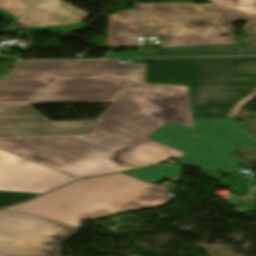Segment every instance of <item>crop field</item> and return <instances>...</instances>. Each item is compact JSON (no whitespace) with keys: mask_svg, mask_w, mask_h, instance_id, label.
I'll return each mask as SVG.
<instances>
[{"mask_svg":"<svg viewBox=\"0 0 256 256\" xmlns=\"http://www.w3.org/2000/svg\"><path fill=\"white\" fill-rule=\"evenodd\" d=\"M231 181L232 179H228V178H221V180L218 182L217 185H221V186H227L230 188L231 192H234L231 186Z\"/></svg>","mask_w":256,"mask_h":256,"instance_id":"214f88e0","label":"crop field"},{"mask_svg":"<svg viewBox=\"0 0 256 256\" xmlns=\"http://www.w3.org/2000/svg\"><path fill=\"white\" fill-rule=\"evenodd\" d=\"M30 5L26 0H0V15L13 21Z\"/></svg>","mask_w":256,"mask_h":256,"instance_id":"d1516ede","label":"crop field"},{"mask_svg":"<svg viewBox=\"0 0 256 256\" xmlns=\"http://www.w3.org/2000/svg\"><path fill=\"white\" fill-rule=\"evenodd\" d=\"M38 194L0 191V207L24 201Z\"/></svg>","mask_w":256,"mask_h":256,"instance_id":"cbeb9de0","label":"crop field"},{"mask_svg":"<svg viewBox=\"0 0 256 256\" xmlns=\"http://www.w3.org/2000/svg\"><path fill=\"white\" fill-rule=\"evenodd\" d=\"M182 166L163 164L159 166L124 172L149 183H158L161 178L169 177L172 182L179 181Z\"/></svg>","mask_w":256,"mask_h":256,"instance_id":"28ad6ade","label":"crop field"},{"mask_svg":"<svg viewBox=\"0 0 256 256\" xmlns=\"http://www.w3.org/2000/svg\"><path fill=\"white\" fill-rule=\"evenodd\" d=\"M167 188L146 184L119 173L84 179L39 198L6 208L53 219L79 228L81 220L157 207L172 198Z\"/></svg>","mask_w":256,"mask_h":256,"instance_id":"412701ff","label":"crop field"},{"mask_svg":"<svg viewBox=\"0 0 256 256\" xmlns=\"http://www.w3.org/2000/svg\"><path fill=\"white\" fill-rule=\"evenodd\" d=\"M240 209L241 212L256 211V205L255 203H243L240 201Z\"/></svg>","mask_w":256,"mask_h":256,"instance_id":"bc2a9ffb","label":"crop field"},{"mask_svg":"<svg viewBox=\"0 0 256 256\" xmlns=\"http://www.w3.org/2000/svg\"><path fill=\"white\" fill-rule=\"evenodd\" d=\"M247 185L245 181L234 180V187L237 194H246L247 193Z\"/></svg>","mask_w":256,"mask_h":256,"instance_id":"733c2abd","label":"crop field"},{"mask_svg":"<svg viewBox=\"0 0 256 256\" xmlns=\"http://www.w3.org/2000/svg\"><path fill=\"white\" fill-rule=\"evenodd\" d=\"M256 17V0H204Z\"/></svg>","mask_w":256,"mask_h":256,"instance_id":"22f410ed","label":"crop field"},{"mask_svg":"<svg viewBox=\"0 0 256 256\" xmlns=\"http://www.w3.org/2000/svg\"><path fill=\"white\" fill-rule=\"evenodd\" d=\"M131 82L187 85L193 118H233L256 97V57L18 62L0 104L113 102Z\"/></svg>","mask_w":256,"mask_h":256,"instance_id":"8a807250","label":"crop field"},{"mask_svg":"<svg viewBox=\"0 0 256 256\" xmlns=\"http://www.w3.org/2000/svg\"><path fill=\"white\" fill-rule=\"evenodd\" d=\"M224 200H225V202L228 203L227 206H236V205H238V202H237V201H233V200H230V199H224ZM236 211H237V212H240L239 207L236 208Z\"/></svg>","mask_w":256,"mask_h":256,"instance_id":"92a150f3","label":"crop field"},{"mask_svg":"<svg viewBox=\"0 0 256 256\" xmlns=\"http://www.w3.org/2000/svg\"><path fill=\"white\" fill-rule=\"evenodd\" d=\"M170 122L194 129L187 86L132 83L83 135L0 137V148L86 177L180 159L146 138Z\"/></svg>","mask_w":256,"mask_h":256,"instance_id":"ac0d7876","label":"crop field"},{"mask_svg":"<svg viewBox=\"0 0 256 256\" xmlns=\"http://www.w3.org/2000/svg\"><path fill=\"white\" fill-rule=\"evenodd\" d=\"M88 25L79 23V24H71V25H59V26H48V27H38L34 28L38 32L43 31H60L62 35L72 33L74 31H77L79 29L85 28Z\"/></svg>","mask_w":256,"mask_h":256,"instance_id":"5142ce71","label":"crop field"},{"mask_svg":"<svg viewBox=\"0 0 256 256\" xmlns=\"http://www.w3.org/2000/svg\"><path fill=\"white\" fill-rule=\"evenodd\" d=\"M237 21H247L245 33H256L255 17L216 4H135L109 19L107 45L137 43L139 36H160L161 47L234 43Z\"/></svg>","mask_w":256,"mask_h":256,"instance_id":"34b2d1b8","label":"crop field"},{"mask_svg":"<svg viewBox=\"0 0 256 256\" xmlns=\"http://www.w3.org/2000/svg\"><path fill=\"white\" fill-rule=\"evenodd\" d=\"M70 176L0 150V190L43 193Z\"/></svg>","mask_w":256,"mask_h":256,"instance_id":"e52e79f7","label":"crop field"},{"mask_svg":"<svg viewBox=\"0 0 256 256\" xmlns=\"http://www.w3.org/2000/svg\"><path fill=\"white\" fill-rule=\"evenodd\" d=\"M203 175L213 179V180H216V181H219V179L224 175L218 171H211V170H206V169H202L200 168Z\"/></svg>","mask_w":256,"mask_h":256,"instance_id":"4a817a6b","label":"crop field"},{"mask_svg":"<svg viewBox=\"0 0 256 256\" xmlns=\"http://www.w3.org/2000/svg\"><path fill=\"white\" fill-rule=\"evenodd\" d=\"M193 121L194 130L170 123L148 138L186 152L179 163L238 172L241 162L228 153L256 145V137L234 119Z\"/></svg>","mask_w":256,"mask_h":256,"instance_id":"f4fd0767","label":"crop field"},{"mask_svg":"<svg viewBox=\"0 0 256 256\" xmlns=\"http://www.w3.org/2000/svg\"><path fill=\"white\" fill-rule=\"evenodd\" d=\"M143 57L141 52L110 53L107 58Z\"/></svg>","mask_w":256,"mask_h":256,"instance_id":"d9b57169","label":"crop field"},{"mask_svg":"<svg viewBox=\"0 0 256 256\" xmlns=\"http://www.w3.org/2000/svg\"><path fill=\"white\" fill-rule=\"evenodd\" d=\"M92 122H49L30 105H0V136L82 134Z\"/></svg>","mask_w":256,"mask_h":256,"instance_id":"d8731c3e","label":"crop field"},{"mask_svg":"<svg viewBox=\"0 0 256 256\" xmlns=\"http://www.w3.org/2000/svg\"><path fill=\"white\" fill-rule=\"evenodd\" d=\"M144 57L167 56H214V55H256V34H243L235 36V44L140 49Z\"/></svg>","mask_w":256,"mask_h":256,"instance_id":"3316defc","label":"crop field"},{"mask_svg":"<svg viewBox=\"0 0 256 256\" xmlns=\"http://www.w3.org/2000/svg\"><path fill=\"white\" fill-rule=\"evenodd\" d=\"M249 194L250 195L256 194V182H253V181L251 182Z\"/></svg>","mask_w":256,"mask_h":256,"instance_id":"dafd665d","label":"crop field"},{"mask_svg":"<svg viewBox=\"0 0 256 256\" xmlns=\"http://www.w3.org/2000/svg\"><path fill=\"white\" fill-rule=\"evenodd\" d=\"M33 5L15 22L31 27L79 23L89 14L61 0H29Z\"/></svg>","mask_w":256,"mask_h":256,"instance_id":"5a996713","label":"crop field"},{"mask_svg":"<svg viewBox=\"0 0 256 256\" xmlns=\"http://www.w3.org/2000/svg\"><path fill=\"white\" fill-rule=\"evenodd\" d=\"M77 228L0 209V256H60V244Z\"/></svg>","mask_w":256,"mask_h":256,"instance_id":"dd49c442","label":"crop field"}]
</instances>
